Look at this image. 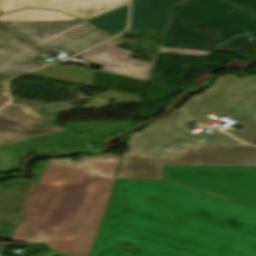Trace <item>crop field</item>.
Segmentation results:
<instances>
[{
	"instance_id": "1",
	"label": "crop field",
	"mask_w": 256,
	"mask_h": 256,
	"mask_svg": "<svg viewBox=\"0 0 256 256\" xmlns=\"http://www.w3.org/2000/svg\"><path fill=\"white\" fill-rule=\"evenodd\" d=\"M90 256H256V207L162 180L116 179Z\"/></svg>"
},
{
	"instance_id": "2",
	"label": "crop field",
	"mask_w": 256,
	"mask_h": 256,
	"mask_svg": "<svg viewBox=\"0 0 256 256\" xmlns=\"http://www.w3.org/2000/svg\"><path fill=\"white\" fill-rule=\"evenodd\" d=\"M119 157L49 160L13 239L89 256Z\"/></svg>"
},
{
	"instance_id": "3",
	"label": "crop field",
	"mask_w": 256,
	"mask_h": 256,
	"mask_svg": "<svg viewBox=\"0 0 256 256\" xmlns=\"http://www.w3.org/2000/svg\"><path fill=\"white\" fill-rule=\"evenodd\" d=\"M112 37L87 21L0 22V77L47 65L35 60L53 47L74 55Z\"/></svg>"
},
{
	"instance_id": "4",
	"label": "crop field",
	"mask_w": 256,
	"mask_h": 256,
	"mask_svg": "<svg viewBox=\"0 0 256 256\" xmlns=\"http://www.w3.org/2000/svg\"><path fill=\"white\" fill-rule=\"evenodd\" d=\"M255 32L256 0H183L174 6L162 47L213 51L236 35Z\"/></svg>"
},
{
	"instance_id": "5",
	"label": "crop field",
	"mask_w": 256,
	"mask_h": 256,
	"mask_svg": "<svg viewBox=\"0 0 256 256\" xmlns=\"http://www.w3.org/2000/svg\"><path fill=\"white\" fill-rule=\"evenodd\" d=\"M211 113L228 115L249 126L241 131L226 132L246 143L256 144V76L247 79L231 75L221 77L212 88L193 97L171 117L188 121Z\"/></svg>"
},
{
	"instance_id": "6",
	"label": "crop field",
	"mask_w": 256,
	"mask_h": 256,
	"mask_svg": "<svg viewBox=\"0 0 256 256\" xmlns=\"http://www.w3.org/2000/svg\"><path fill=\"white\" fill-rule=\"evenodd\" d=\"M161 165L256 167V147L208 144L167 155L125 154L118 178H161Z\"/></svg>"
},
{
	"instance_id": "7",
	"label": "crop field",
	"mask_w": 256,
	"mask_h": 256,
	"mask_svg": "<svg viewBox=\"0 0 256 256\" xmlns=\"http://www.w3.org/2000/svg\"><path fill=\"white\" fill-rule=\"evenodd\" d=\"M162 178L256 205V168L162 166Z\"/></svg>"
},
{
	"instance_id": "8",
	"label": "crop field",
	"mask_w": 256,
	"mask_h": 256,
	"mask_svg": "<svg viewBox=\"0 0 256 256\" xmlns=\"http://www.w3.org/2000/svg\"><path fill=\"white\" fill-rule=\"evenodd\" d=\"M182 122L184 121L167 118L150 125L141 132L132 134L127 152L164 153L202 142L219 145L243 144L222 131L195 135L181 125Z\"/></svg>"
},
{
	"instance_id": "9",
	"label": "crop field",
	"mask_w": 256,
	"mask_h": 256,
	"mask_svg": "<svg viewBox=\"0 0 256 256\" xmlns=\"http://www.w3.org/2000/svg\"><path fill=\"white\" fill-rule=\"evenodd\" d=\"M77 149L87 150L89 147L82 138L70 137L65 131L2 146L0 147V172L19 166L22 158L31 152L63 153Z\"/></svg>"
},
{
	"instance_id": "10",
	"label": "crop field",
	"mask_w": 256,
	"mask_h": 256,
	"mask_svg": "<svg viewBox=\"0 0 256 256\" xmlns=\"http://www.w3.org/2000/svg\"><path fill=\"white\" fill-rule=\"evenodd\" d=\"M61 131L24 106L9 105L0 111V146Z\"/></svg>"
},
{
	"instance_id": "11",
	"label": "crop field",
	"mask_w": 256,
	"mask_h": 256,
	"mask_svg": "<svg viewBox=\"0 0 256 256\" xmlns=\"http://www.w3.org/2000/svg\"><path fill=\"white\" fill-rule=\"evenodd\" d=\"M119 44L110 41L76 57L104 67L101 72L148 81L154 64L129 58L135 53L115 47Z\"/></svg>"
},
{
	"instance_id": "12",
	"label": "crop field",
	"mask_w": 256,
	"mask_h": 256,
	"mask_svg": "<svg viewBox=\"0 0 256 256\" xmlns=\"http://www.w3.org/2000/svg\"><path fill=\"white\" fill-rule=\"evenodd\" d=\"M129 0H0V14L24 7L57 9L85 20L128 4Z\"/></svg>"
},
{
	"instance_id": "13",
	"label": "crop field",
	"mask_w": 256,
	"mask_h": 256,
	"mask_svg": "<svg viewBox=\"0 0 256 256\" xmlns=\"http://www.w3.org/2000/svg\"><path fill=\"white\" fill-rule=\"evenodd\" d=\"M176 0H132L129 31H166Z\"/></svg>"
},
{
	"instance_id": "14",
	"label": "crop field",
	"mask_w": 256,
	"mask_h": 256,
	"mask_svg": "<svg viewBox=\"0 0 256 256\" xmlns=\"http://www.w3.org/2000/svg\"><path fill=\"white\" fill-rule=\"evenodd\" d=\"M65 128L71 135L81 133L88 143H100L121 131L119 123H67Z\"/></svg>"
},
{
	"instance_id": "15",
	"label": "crop field",
	"mask_w": 256,
	"mask_h": 256,
	"mask_svg": "<svg viewBox=\"0 0 256 256\" xmlns=\"http://www.w3.org/2000/svg\"><path fill=\"white\" fill-rule=\"evenodd\" d=\"M128 11L129 4L87 21L100 30L116 35L127 28Z\"/></svg>"
},
{
	"instance_id": "16",
	"label": "crop field",
	"mask_w": 256,
	"mask_h": 256,
	"mask_svg": "<svg viewBox=\"0 0 256 256\" xmlns=\"http://www.w3.org/2000/svg\"><path fill=\"white\" fill-rule=\"evenodd\" d=\"M79 20L57 11L23 9L0 15V21H63Z\"/></svg>"
},
{
	"instance_id": "17",
	"label": "crop field",
	"mask_w": 256,
	"mask_h": 256,
	"mask_svg": "<svg viewBox=\"0 0 256 256\" xmlns=\"http://www.w3.org/2000/svg\"><path fill=\"white\" fill-rule=\"evenodd\" d=\"M251 42L252 41L248 40L246 36H239L232 41H228L220 45L216 51L237 53L243 48L247 47Z\"/></svg>"
},
{
	"instance_id": "18",
	"label": "crop field",
	"mask_w": 256,
	"mask_h": 256,
	"mask_svg": "<svg viewBox=\"0 0 256 256\" xmlns=\"http://www.w3.org/2000/svg\"><path fill=\"white\" fill-rule=\"evenodd\" d=\"M160 53H162V54H172V55L207 57V55L210 52L173 50V49H164V48H162Z\"/></svg>"
},
{
	"instance_id": "19",
	"label": "crop field",
	"mask_w": 256,
	"mask_h": 256,
	"mask_svg": "<svg viewBox=\"0 0 256 256\" xmlns=\"http://www.w3.org/2000/svg\"><path fill=\"white\" fill-rule=\"evenodd\" d=\"M8 100H9V97H8V96L1 95V96H0V107L3 106L5 103H7Z\"/></svg>"
}]
</instances>
